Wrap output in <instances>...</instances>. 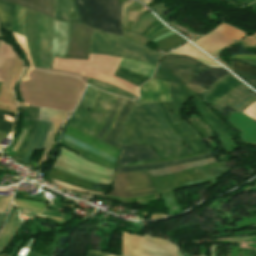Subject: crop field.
<instances>
[{
    "mask_svg": "<svg viewBox=\"0 0 256 256\" xmlns=\"http://www.w3.org/2000/svg\"><path fill=\"white\" fill-rule=\"evenodd\" d=\"M13 7L12 4L0 1V36L2 38H4L3 29L11 31Z\"/></svg>",
    "mask_w": 256,
    "mask_h": 256,
    "instance_id": "crop-field-31",
    "label": "crop field"
},
{
    "mask_svg": "<svg viewBox=\"0 0 256 256\" xmlns=\"http://www.w3.org/2000/svg\"><path fill=\"white\" fill-rule=\"evenodd\" d=\"M209 156H212V155L210 153H208V154H202V155L180 158V159L164 161V162H159V163H153V164L121 167V168H117L116 173L137 171V170H143V169H149V168H159V167H163V166H167V165H171V164L194 161V160H198V159H201V158H204V157H209Z\"/></svg>",
    "mask_w": 256,
    "mask_h": 256,
    "instance_id": "crop-field-21",
    "label": "crop field"
},
{
    "mask_svg": "<svg viewBox=\"0 0 256 256\" xmlns=\"http://www.w3.org/2000/svg\"><path fill=\"white\" fill-rule=\"evenodd\" d=\"M229 75H231V73H229V74H227V75H224V76L220 77L218 80H216L204 93H202L203 97H204L205 95H207L210 91H212V90L215 88V86H216L223 78H225V77H227V76H229Z\"/></svg>",
    "mask_w": 256,
    "mask_h": 256,
    "instance_id": "crop-field-44",
    "label": "crop field"
},
{
    "mask_svg": "<svg viewBox=\"0 0 256 256\" xmlns=\"http://www.w3.org/2000/svg\"><path fill=\"white\" fill-rule=\"evenodd\" d=\"M90 53L118 55L146 63L154 64L163 54L136 46L122 38L93 31L90 41Z\"/></svg>",
    "mask_w": 256,
    "mask_h": 256,
    "instance_id": "crop-field-4",
    "label": "crop field"
},
{
    "mask_svg": "<svg viewBox=\"0 0 256 256\" xmlns=\"http://www.w3.org/2000/svg\"><path fill=\"white\" fill-rule=\"evenodd\" d=\"M88 84L96 86V87H98L102 90L109 91V92L115 93L117 95L124 96L126 98L133 99V97H134V96H132V95L126 93V92H123V91H121V90H119V89H117V88H115V87H113L109 84L102 83V82L96 81V80L91 79V78L89 79Z\"/></svg>",
    "mask_w": 256,
    "mask_h": 256,
    "instance_id": "crop-field-36",
    "label": "crop field"
},
{
    "mask_svg": "<svg viewBox=\"0 0 256 256\" xmlns=\"http://www.w3.org/2000/svg\"><path fill=\"white\" fill-rule=\"evenodd\" d=\"M216 161H217L216 158L213 157V158H209V159H205V160H201V161H197V162L187 163V164L163 168V169H152V170H148L147 173L150 175V177L166 175V174L175 173L177 171L201 166V165L216 162Z\"/></svg>",
    "mask_w": 256,
    "mask_h": 256,
    "instance_id": "crop-field-28",
    "label": "crop field"
},
{
    "mask_svg": "<svg viewBox=\"0 0 256 256\" xmlns=\"http://www.w3.org/2000/svg\"><path fill=\"white\" fill-rule=\"evenodd\" d=\"M141 103L155 101H171L170 83L150 79L140 88Z\"/></svg>",
    "mask_w": 256,
    "mask_h": 256,
    "instance_id": "crop-field-11",
    "label": "crop field"
},
{
    "mask_svg": "<svg viewBox=\"0 0 256 256\" xmlns=\"http://www.w3.org/2000/svg\"><path fill=\"white\" fill-rule=\"evenodd\" d=\"M194 97V103L195 106L199 112V114L215 129V131L218 134L225 133L226 126L220 122L208 109L207 107L202 103V101L195 95Z\"/></svg>",
    "mask_w": 256,
    "mask_h": 256,
    "instance_id": "crop-field-24",
    "label": "crop field"
},
{
    "mask_svg": "<svg viewBox=\"0 0 256 256\" xmlns=\"http://www.w3.org/2000/svg\"><path fill=\"white\" fill-rule=\"evenodd\" d=\"M89 115H90V114H88V113L86 114L85 118H84L83 121L80 123V125L78 126V128H80V129L82 128V126L85 124V122H86L87 118L89 117Z\"/></svg>",
    "mask_w": 256,
    "mask_h": 256,
    "instance_id": "crop-field-52",
    "label": "crop field"
},
{
    "mask_svg": "<svg viewBox=\"0 0 256 256\" xmlns=\"http://www.w3.org/2000/svg\"><path fill=\"white\" fill-rule=\"evenodd\" d=\"M240 83L233 76L227 77L205 99L213 105Z\"/></svg>",
    "mask_w": 256,
    "mask_h": 256,
    "instance_id": "crop-field-22",
    "label": "crop field"
},
{
    "mask_svg": "<svg viewBox=\"0 0 256 256\" xmlns=\"http://www.w3.org/2000/svg\"><path fill=\"white\" fill-rule=\"evenodd\" d=\"M244 34L241 30L221 23L213 32L192 42L213 56L226 45L229 46L232 38L239 41Z\"/></svg>",
    "mask_w": 256,
    "mask_h": 256,
    "instance_id": "crop-field-7",
    "label": "crop field"
},
{
    "mask_svg": "<svg viewBox=\"0 0 256 256\" xmlns=\"http://www.w3.org/2000/svg\"><path fill=\"white\" fill-rule=\"evenodd\" d=\"M174 14V12H170V13H168L165 17H163L162 18V20L165 22L171 15H173Z\"/></svg>",
    "mask_w": 256,
    "mask_h": 256,
    "instance_id": "crop-field-53",
    "label": "crop field"
},
{
    "mask_svg": "<svg viewBox=\"0 0 256 256\" xmlns=\"http://www.w3.org/2000/svg\"><path fill=\"white\" fill-rule=\"evenodd\" d=\"M232 70L256 90V66L232 60Z\"/></svg>",
    "mask_w": 256,
    "mask_h": 256,
    "instance_id": "crop-field-20",
    "label": "crop field"
},
{
    "mask_svg": "<svg viewBox=\"0 0 256 256\" xmlns=\"http://www.w3.org/2000/svg\"><path fill=\"white\" fill-rule=\"evenodd\" d=\"M159 104L169 125L178 135H180L183 138L184 142L190 146L192 153L206 149L199 136L184 121L171 125L165 104Z\"/></svg>",
    "mask_w": 256,
    "mask_h": 256,
    "instance_id": "crop-field-13",
    "label": "crop field"
},
{
    "mask_svg": "<svg viewBox=\"0 0 256 256\" xmlns=\"http://www.w3.org/2000/svg\"><path fill=\"white\" fill-rule=\"evenodd\" d=\"M124 101H125V99L123 98L122 101H121V103H120V105H119V107H118V109H117V111H116V113H115V115H114V117H113V119H112V121H111V123H110V125H109V127H108V129L106 130L105 134L100 138V140L103 141L104 138H105V137L108 135V133L110 132L111 128L113 127V125H114V123H115L117 114H118V112L120 111V109H121V107H122Z\"/></svg>",
    "mask_w": 256,
    "mask_h": 256,
    "instance_id": "crop-field-40",
    "label": "crop field"
},
{
    "mask_svg": "<svg viewBox=\"0 0 256 256\" xmlns=\"http://www.w3.org/2000/svg\"><path fill=\"white\" fill-rule=\"evenodd\" d=\"M67 27L68 23H63L55 20L52 43V60L50 68H52L53 66L54 57L64 58Z\"/></svg>",
    "mask_w": 256,
    "mask_h": 256,
    "instance_id": "crop-field-14",
    "label": "crop field"
},
{
    "mask_svg": "<svg viewBox=\"0 0 256 256\" xmlns=\"http://www.w3.org/2000/svg\"><path fill=\"white\" fill-rule=\"evenodd\" d=\"M115 76L123 78L138 87L149 79L148 77L120 66L118 67Z\"/></svg>",
    "mask_w": 256,
    "mask_h": 256,
    "instance_id": "crop-field-32",
    "label": "crop field"
},
{
    "mask_svg": "<svg viewBox=\"0 0 256 256\" xmlns=\"http://www.w3.org/2000/svg\"><path fill=\"white\" fill-rule=\"evenodd\" d=\"M54 182H55V185H57V186L64 187V188H67V189H70V190H74V191H78V192L92 193V194H105V193H97V192H92V191H87V190L79 189V188H76V187H73V186H70V185H67V184H63V183L57 182V181H54Z\"/></svg>",
    "mask_w": 256,
    "mask_h": 256,
    "instance_id": "crop-field-39",
    "label": "crop field"
},
{
    "mask_svg": "<svg viewBox=\"0 0 256 256\" xmlns=\"http://www.w3.org/2000/svg\"><path fill=\"white\" fill-rule=\"evenodd\" d=\"M135 1H132V0H128V1H125L123 2V4L121 5V25H122V22H123V13H124V8L132 3H134Z\"/></svg>",
    "mask_w": 256,
    "mask_h": 256,
    "instance_id": "crop-field-45",
    "label": "crop field"
},
{
    "mask_svg": "<svg viewBox=\"0 0 256 256\" xmlns=\"http://www.w3.org/2000/svg\"><path fill=\"white\" fill-rule=\"evenodd\" d=\"M156 192L155 187L144 171L116 174L111 196L131 197L149 195Z\"/></svg>",
    "mask_w": 256,
    "mask_h": 256,
    "instance_id": "crop-field-6",
    "label": "crop field"
},
{
    "mask_svg": "<svg viewBox=\"0 0 256 256\" xmlns=\"http://www.w3.org/2000/svg\"><path fill=\"white\" fill-rule=\"evenodd\" d=\"M248 92L241 84L233 89L227 96L222 98L217 104L213 107L222 110L227 106L234 107L241 99L247 96ZM218 110V111H219Z\"/></svg>",
    "mask_w": 256,
    "mask_h": 256,
    "instance_id": "crop-field-25",
    "label": "crop field"
},
{
    "mask_svg": "<svg viewBox=\"0 0 256 256\" xmlns=\"http://www.w3.org/2000/svg\"><path fill=\"white\" fill-rule=\"evenodd\" d=\"M234 57H239V58H245V59H256V56H241V55H236Z\"/></svg>",
    "mask_w": 256,
    "mask_h": 256,
    "instance_id": "crop-field-51",
    "label": "crop field"
},
{
    "mask_svg": "<svg viewBox=\"0 0 256 256\" xmlns=\"http://www.w3.org/2000/svg\"><path fill=\"white\" fill-rule=\"evenodd\" d=\"M165 10H167V8H162V7H157L155 10H153L156 14L160 15L162 14Z\"/></svg>",
    "mask_w": 256,
    "mask_h": 256,
    "instance_id": "crop-field-47",
    "label": "crop field"
},
{
    "mask_svg": "<svg viewBox=\"0 0 256 256\" xmlns=\"http://www.w3.org/2000/svg\"><path fill=\"white\" fill-rule=\"evenodd\" d=\"M51 123L39 121L35 132L33 134L30 146L22 159V162L27 163L30 161V157L34 150L42 151L46 139V135Z\"/></svg>",
    "mask_w": 256,
    "mask_h": 256,
    "instance_id": "crop-field-16",
    "label": "crop field"
},
{
    "mask_svg": "<svg viewBox=\"0 0 256 256\" xmlns=\"http://www.w3.org/2000/svg\"><path fill=\"white\" fill-rule=\"evenodd\" d=\"M60 155L66 157L70 161H72V162H74V163H76V164H78L82 167H85L89 170L96 171V172L103 173V174L110 175V176L113 175V170L98 166V165L93 164V163H90V162L84 160L83 158L79 157L74 152H72L70 150H67L63 147H61V154Z\"/></svg>",
    "mask_w": 256,
    "mask_h": 256,
    "instance_id": "crop-field-23",
    "label": "crop field"
},
{
    "mask_svg": "<svg viewBox=\"0 0 256 256\" xmlns=\"http://www.w3.org/2000/svg\"><path fill=\"white\" fill-rule=\"evenodd\" d=\"M1 84V83H0ZM4 114V115H8V116H11L12 117V113L11 112H7V111H4V110H0V131H3V132H6L8 133L10 128H11V122H8V121H5V120H2L1 119V115Z\"/></svg>",
    "mask_w": 256,
    "mask_h": 256,
    "instance_id": "crop-field-38",
    "label": "crop field"
},
{
    "mask_svg": "<svg viewBox=\"0 0 256 256\" xmlns=\"http://www.w3.org/2000/svg\"><path fill=\"white\" fill-rule=\"evenodd\" d=\"M170 31L168 28L163 26L162 24L152 27L147 33L146 37H149L151 40L158 37L159 35Z\"/></svg>",
    "mask_w": 256,
    "mask_h": 256,
    "instance_id": "crop-field-37",
    "label": "crop field"
},
{
    "mask_svg": "<svg viewBox=\"0 0 256 256\" xmlns=\"http://www.w3.org/2000/svg\"><path fill=\"white\" fill-rule=\"evenodd\" d=\"M36 122L35 120H32V119H24L23 121V125L22 127L23 128H28L29 131L26 135V138L22 144V146L19 148V150L15 153V155L13 157L17 158L18 160L21 161L27 147H28V144L30 142V139L32 137V134H33V131H34V128H35V125H36Z\"/></svg>",
    "mask_w": 256,
    "mask_h": 256,
    "instance_id": "crop-field-34",
    "label": "crop field"
},
{
    "mask_svg": "<svg viewBox=\"0 0 256 256\" xmlns=\"http://www.w3.org/2000/svg\"><path fill=\"white\" fill-rule=\"evenodd\" d=\"M172 33H174V32L170 31V32H168V33H165V34L159 36L158 38H156V39H154V40H152V41L155 42V41H157V40H159V39H161V38H163V37H165V36H167V35H170V34H172Z\"/></svg>",
    "mask_w": 256,
    "mask_h": 256,
    "instance_id": "crop-field-50",
    "label": "crop field"
},
{
    "mask_svg": "<svg viewBox=\"0 0 256 256\" xmlns=\"http://www.w3.org/2000/svg\"><path fill=\"white\" fill-rule=\"evenodd\" d=\"M209 68L189 57L165 55L158 66L153 78L171 82L172 102H168L169 109L173 110V115L169 113L171 122H178L180 109L188 99V94L184 85L198 72Z\"/></svg>",
    "mask_w": 256,
    "mask_h": 256,
    "instance_id": "crop-field-2",
    "label": "crop field"
},
{
    "mask_svg": "<svg viewBox=\"0 0 256 256\" xmlns=\"http://www.w3.org/2000/svg\"><path fill=\"white\" fill-rule=\"evenodd\" d=\"M92 29L72 24L68 58L88 59V44Z\"/></svg>",
    "mask_w": 256,
    "mask_h": 256,
    "instance_id": "crop-field-10",
    "label": "crop field"
},
{
    "mask_svg": "<svg viewBox=\"0 0 256 256\" xmlns=\"http://www.w3.org/2000/svg\"><path fill=\"white\" fill-rule=\"evenodd\" d=\"M134 102L132 101H129V100H126L119 116H118V119L115 123V126L114 128L112 129V131L109 133V135L105 138L104 142L110 144L111 146L113 147H118L120 148L121 147V144H118L115 141L116 137L118 136L121 128H122V125H123V121L129 111V109L131 108V106L133 105Z\"/></svg>",
    "mask_w": 256,
    "mask_h": 256,
    "instance_id": "crop-field-26",
    "label": "crop field"
},
{
    "mask_svg": "<svg viewBox=\"0 0 256 256\" xmlns=\"http://www.w3.org/2000/svg\"><path fill=\"white\" fill-rule=\"evenodd\" d=\"M97 92H98V89H96V88H93L90 86L86 87L83 97H82L80 103L78 104L71 121L68 124H70L74 127L78 126V124L84 118V116L86 114V110L89 109Z\"/></svg>",
    "mask_w": 256,
    "mask_h": 256,
    "instance_id": "crop-field-17",
    "label": "crop field"
},
{
    "mask_svg": "<svg viewBox=\"0 0 256 256\" xmlns=\"http://www.w3.org/2000/svg\"><path fill=\"white\" fill-rule=\"evenodd\" d=\"M107 253L105 252H92L88 251L86 256H106Z\"/></svg>",
    "mask_w": 256,
    "mask_h": 256,
    "instance_id": "crop-field-46",
    "label": "crop field"
},
{
    "mask_svg": "<svg viewBox=\"0 0 256 256\" xmlns=\"http://www.w3.org/2000/svg\"><path fill=\"white\" fill-rule=\"evenodd\" d=\"M70 27H71V24L69 23V28H68V38H67V46H66V54H65V58H67V54H68V44H69Z\"/></svg>",
    "mask_w": 256,
    "mask_h": 256,
    "instance_id": "crop-field-48",
    "label": "crop field"
},
{
    "mask_svg": "<svg viewBox=\"0 0 256 256\" xmlns=\"http://www.w3.org/2000/svg\"><path fill=\"white\" fill-rule=\"evenodd\" d=\"M124 144H151L160 157L190 153L167 125L158 103L140 105L130 113L124 127Z\"/></svg>",
    "mask_w": 256,
    "mask_h": 256,
    "instance_id": "crop-field-1",
    "label": "crop field"
},
{
    "mask_svg": "<svg viewBox=\"0 0 256 256\" xmlns=\"http://www.w3.org/2000/svg\"><path fill=\"white\" fill-rule=\"evenodd\" d=\"M141 1H143V2L145 3V5L150 2V0H141ZM143 2H142V3H143Z\"/></svg>",
    "mask_w": 256,
    "mask_h": 256,
    "instance_id": "crop-field-56",
    "label": "crop field"
},
{
    "mask_svg": "<svg viewBox=\"0 0 256 256\" xmlns=\"http://www.w3.org/2000/svg\"><path fill=\"white\" fill-rule=\"evenodd\" d=\"M83 24L121 35L118 0H75Z\"/></svg>",
    "mask_w": 256,
    "mask_h": 256,
    "instance_id": "crop-field-3",
    "label": "crop field"
},
{
    "mask_svg": "<svg viewBox=\"0 0 256 256\" xmlns=\"http://www.w3.org/2000/svg\"><path fill=\"white\" fill-rule=\"evenodd\" d=\"M21 223L16 221V211L10 210L9 217L5 223L2 231L0 232V251L12 238Z\"/></svg>",
    "mask_w": 256,
    "mask_h": 256,
    "instance_id": "crop-field-27",
    "label": "crop field"
},
{
    "mask_svg": "<svg viewBox=\"0 0 256 256\" xmlns=\"http://www.w3.org/2000/svg\"><path fill=\"white\" fill-rule=\"evenodd\" d=\"M117 98V96L102 92L93 113H91V116L81 130L96 137L108 118Z\"/></svg>",
    "mask_w": 256,
    "mask_h": 256,
    "instance_id": "crop-field-8",
    "label": "crop field"
},
{
    "mask_svg": "<svg viewBox=\"0 0 256 256\" xmlns=\"http://www.w3.org/2000/svg\"><path fill=\"white\" fill-rule=\"evenodd\" d=\"M242 113L246 114L250 118L256 120V102L252 103L246 110Z\"/></svg>",
    "mask_w": 256,
    "mask_h": 256,
    "instance_id": "crop-field-41",
    "label": "crop field"
},
{
    "mask_svg": "<svg viewBox=\"0 0 256 256\" xmlns=\"http://www.w3.org/2000/svg\"><path fill=\"white\" fill-rule=\"evenodd\" d=\"M120 100H121V98L119 97L118 100H117V102H116V104H115V106H114V108H113V111H112V113H111V115H110L108 121L106 122V124L104 125L103 129L101 130V132L98 134V136H97L96 138L99 139L100 136H101V135L103 134V132L105 131V129L107 128V126H108V124H109V122H110V120H111V118H112V116H113V114H114V112H115V110H116V108H117V106H118Z\"/></svg>",
    "mask_w": 256,
    "mask_h": 256,
    "instance_id": "crop-field-43",
    "label": "crop field"
},
{
    "mask_svg": "<svg viewBox=\"0 0 256 256\" xmlns=\"http://www.w3.org/2000/svg\"><path fill=\"white\" fill-rule=\"evenodd\" d=\"M71 11H74L76 19H71ZM54 18L81 24L80 16L74 0H55Z\"/></svg>",
    "mask_w": 256,
    "mask_h": 256,
    "instance_id": "crop-field-18",
    "label": "crop field"
},
{
    "mask_svg": "<svg viewBox=\"0 0 256 256\" xmlns=\"http://www.w3.org/2000/svg\"><path fill=\"white\" fill-rule=\"evenodd\" d=\"M155 158L157 155L148 146H124L118 164Z\"/></svg>",
    "mask_w": 256,
    "mask_h": 256,
    "instance_id": "crop-field-15",
    "label": "crop field"
},
{
    "mask_svg": "<svg viewBox=\"0 0 256 256\" xmlns=\"http://www.w3.org/2000/svg\"><path fill=\"white\" fill-rule=\"evenodd\" d=\"M202 256H204V255H202Z\"/></svg>",
    "mask_w": 256,
    "mask_h": 256,
    "instance_id": "crop-field-58",
    "label": "crop field"
},
{
    "mask_svg": "<svg viewBox=\"0 0 256 256\" xmlns=\"http://www.w3.org/2000/svg\"><path fill=\"white\" fill-rule=\"evenodd\" d=\"M214 251H215V245H212V252H211V256H214Z\"/></svg>",
    "mask_w": 256,
    "mask_h": 256,
    "instance_id": "crop-field-55",
    "label": "crop field"
},
{
    "mask_svg": "<svg viewBox=\"0 0 256 256\" xmlns=\"http://www.w3.org/2000/svg\"><path fill=\"white\" fill-rule=\"evenodd\" d=\"M107 256H116L109 254ZM122 256H177L175 246L166 240L123 232Z\"/></svg>",
    "mask_w": 256,
    "mask_h": 256,
    "instance_id": "crop-field-5",
    "label": "crop field"
},
{
    "mask_svg": "<svg viewBox=\"0 0 256 256\" xmlns=\"http://www.w3.org/2000/svg\"><path fill=\"white\" fill-rule=\"evenodd\" d=\"M4 216H5V214H0V227H1V225H2Z\"/></svg>",
    "mask_w": 256,
    "mask_h": 256,
    "instance_id": "crop-field-54",
    "label": "crop field"
},
{
    "mask_svg": "<svg viewBox=\"0 0 256 256\" xmlns=\"http://www.w3.org/2000/svg\"><path fill=\"white\" fill-rule=\"evenodd\" d=\"M59 159L69 163L70 165L74 166L75 168H77V169H79V170H81V171H83L85 173H89V174L96 175V176L103 177V178L110 179V180L112 179L111 177H107V176H104V175H100V174H96V173H93V172L86 171V170H84V169H82V168L72 164L70 161H68L66 158H64L62 156H59Z\"/></svg>",
    "mask_w": 256,
    "mask_h": 256,
    "instance_id": "crop-field-42",
    "label": "crop field"
},
{
    "mask_svg": "<svg viewBox=\"0 0 256 256\" xmlns=\"http://www.w3.org/2000/svg\"><path fill=\"white\" fill-rule=\"evenodd\" d=\"M101 92H102V91L99 90V92H98V94H97V96H96V98H95V100H94V102H93V104H92V106H91V108H90L91 110H93V108H94V106H95V104H96V102H97V100H98V98H99Z\"/></svg>",
    "mask_w": 256,
    "mask_h": 256,
    "instance_id": "crop-field-49",
    "label": "crop field"
},
{
    "mask_svg": "<svg viewBox=\"0 0 256 256\" xmlns=\"http://www.w3.org/2000/svg\"><path fill=\"white\" fill-rule=\"evenodd\" d=\"M54 168H57L59 170L65 171L67 173L73 174L75 176L81 177L83 179H86L95 183L106 184V185H109L110 183V181H107V180L85 175L60 160L56 161Z\"/></svg>",
    "mask_w": 256,
    "mask_h": 256,
    "instance_id": "crop-field-33",
    "label": "crop field"
},
{
    "mask_svg": "<svg viewBox=\"0 0 256 256\" xmlns=\"http://www.w3.org/2000/svg\"><path fill=\"white\" fill-rule=\"evenodd\" d=\"M184 256H187L186 254H184Z\"/></svg>",
    "mask_w": 256,
    "mask_h": 256,
    "instance_id": "crop-field-57",
    "label": "crop field"
},
{
    "mask_svg": "<svg viewBox=\"0 0 256 256\" xmlns=\"http://www.w3.org/2000/svg\"><path fill=\"white\" fill-rule=\"evenodd\" d=\"M53 19L41 14L38 17V65L37 68H49L51 60V42Z\"/></svg>",
    "mask_w": 256,
    "mask_h": 256,
    "instance_id": "crop-field-9",
    "label": "crop field"
},
{
    "mask_svg": "<svg viewBox=\"0 0 256 256\" xmlns=\"http://www.w3.org/2000/svg\"><path fill=\"white\" fill-rule=\"evenodd\" d=\"M226 73H228V71H226L225 69L210 68L204 72L197 74L190 82L197 85L209 87L214 80Z\"/></svg>",
    "mask_w": 256,
    "mask_h": 256,
    "instance_id": "crop-field-29",
    "label": "crop field"
},
{
    "mask_svg": "<svg viewBox=\"0 0 256 256\" xmlns=\"http://www.w3.org/2000/svg\"><path fill=\"white\" fill-rule=\"evenodd\" d=\"M171 53L185 54L201 62H204L210 66L221 67L217 63H215L213 60H211L209 57H207L205 54H203L201 51H199L197 48H195L193 45H191L190 43L186 44L184 47L177 49Z\"/></svg>",
    "mask_w": 256,
    "mask_h": 256,
    "instance_id": "crop-field-30",
    "label": "crop field"
},
{
    "mask_svg": "<svg viewBox=\"0 0 256 256\" xmlns=\"http://www.w3.org/2000/svg\"><path fill=\"white\" fill-rule=\"evenodd\" d=\"M41 12L53 18L54 0H4Z\"/></svg>",
    "mask_w": 256,
    "mask_h": 256,
    "instance_id": "crop-field-19",
    "label": "crop field"
},
{
    "mask_svg": "<svg viewBox=\"0 0 256 256\" xmlns=\"http://www.w3.org/2000/svg\"><path fill=\"white\" fill-rule=\"evenodd\" d=\"M24 8L15 6L14 11V21H13V31L19 34H24V27H23V17H24Z\"/></svg>",
    "mask_w": 256,
    "mask_h": 256,
    "instance_id": "crop-field-35",
    "label": "crop field"
},
{
    "mask_svg": "<svg viewBox=\"0 0 256 256\" xmlns=\"http://www.w3.org/2000/svg\"><path fill=\"white\" fill-rule=\"evenodd\" d=\"M19 109L24 110V113H23L24 118H32L37 120L40 108L19 107ZM67 115H68L67 112L41 108L38 120L53 122L48 133H55L58 126L65 120Z\"/></svg>",
    "mask_w": 256,
    "mask_h": 256,
    "instance_id": "crop-field-12",
    "label": "crop field"
}]
</instances>
